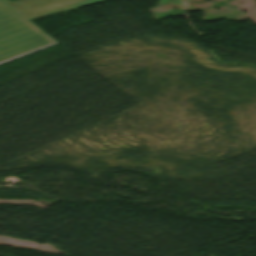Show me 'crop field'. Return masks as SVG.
<instances>
[{
	"label": "crop field",
	"instance_id": "crop-field-1",
	"mask_svg": "<svg viewBox=\"0 0 256 256\" xmlns=\"http://www.w3.org/2000/svg\"><path fill=\"white\" fill-rule=\"evenodd\" d=\"M57 44L0 0V64Z\"/></svg>",
	"mask_w": 256,
	"mask_h": 256
}]
</instances>
